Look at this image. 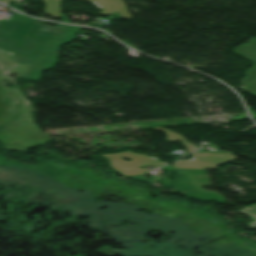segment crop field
<instances>
[{
    "label": "crop field",
    "mask_w": 256,
    "mask_h": 256,
    "mask_svg": "<svg viewBox=\"0 0 256 256\" xmlns=\"http://www.w3.org/2000/svg\"><path fill=\"white\" fill-rule=\"evenodd\" d=\"M160 165H162V163H160V164H158V165H155V166L158 167V166H160Z\"/></svg>",
    "instance_id": "crop-field-4"
},
{
    "label": "crop field",
    "mask_w": 256,
    "mask_h": 256,
    "mask_svg": "<svg viewBox=\"0 0 256 256\" xmlns=\"http://www.w3.org/2000/svg\"><path fill=\"white\" fill-rule=\"evenodd\" d=\"M239 211L245 213L247 216H249V217H251L253 219H256V204L251 205V206H249L247 208H243V209H241ZM249 225L256 227V221L250 223Z\"/></svg>",
    "instance_id": "crop-field-2"
},
{
    "label": "crop field",
    "mask_w": 256,
    "mask_h": 256,
    "mask_svg": "<svg viewBox=\"0 0 256 256\" xmlns=\"http://www.w3.org/2000/svg\"><path fill=\"white\" fill-rule=\"evenodd\" d=\"M15 62L11 59L9 54L0 51V73H4L10 67H12Z\"/></svg>",
    "instance_id": "crop-field-1"
},
{
    "label": "crop field",
    "mask_w": 256,
    "mask_h": 256,
    "mask_svg": "<svg viewBox=\"0 0 256 256\" xmlns=\"http://www.w3.org/2000/svg\"><path fill=\"white\" fill-rule=\"evenodd\" d=\"M21 65H23V67H20ZM27 65L25 64H16L11 70H9L8 72H15L18 73V75L16 76V78L18 76H20L21 74H23L26 71Z\"/></svg>",
    "instance_id": "crop-field-3"
}]
</instances>
